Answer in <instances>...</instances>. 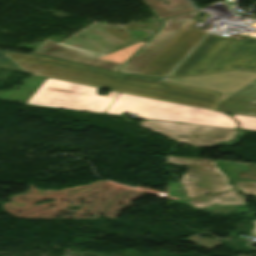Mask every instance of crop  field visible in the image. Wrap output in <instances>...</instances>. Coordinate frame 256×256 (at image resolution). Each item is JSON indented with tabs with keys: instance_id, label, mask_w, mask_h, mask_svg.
<instances>
[{
	"instance_id": "1",
	"label": "crop field",
	"mask_w": 256,
	"mask_h": 256,
	"mask_svg": "<svg viewBox=\"0 0 256 256\" xmlns=\"http://www.w3.org/2000/svg\"><path fill=\"white\" fill-rule=\"evenodd\" d=\"M3 53L14 62L45 67L38 75L204 109L217 107L219 93L213 91L191 89L156 78L117 75L53 58Z\"/></svg>"
},
{
	"instance_id": "2",
	"label": "crop field",
	"mask_w": 256,
	"mask_h": 256,
	"mask_svg": "<svg viewBox=\"0 0 256 256\" xmlns=\"http://www.w3.org/2000/svg\"><path fill=\"white\" fill-rule=\"evenodd\" d=\"M244 68L256 70V38L208 34L169 76Z\"/></svg>"
},
{
	"instance_id": "3",
	"label": "crop field",
	"mask_w": 256,
	"mask_h": 256,
	"mask_svg": "<svg viewBox=\"0 0 256 256\" xmlns=\"http://www.w3.org/2000/svg\"><path fill=\"white\" fill-rule=\"evenodd\" d=\"M124 112L142 119L237 128L231 117L220 112L120 93L106 113L122 115Z\"/></svg>"
},
{
	"instance_id": "4",
	"label": "crop field",
	"mask_w": 256,
	"mask_h": 256,
	"mask_svg": "<svg viewBox=\"0 0 256 256\" xmlns=\"http://www.w3.org/2000/svg\"><path fill=\"white\" fill-rule=\"evenodd\" d=\"M99 88L47 78L27 104L105 113L118 92L97 95Z\"/></svg>"
},
{
	"instance_id": "5",
	"label": "crop field",
	"mask_w": 256,
	"mask_h": 256,
	"mask_svg": "<svg viewBox=\"0 0 256 256\" xmlns=\"http://www.w3.org/2000/svg\"><path fill=\"white\" fill-rule=\"evenodd\" d=\"M165 164L189 165L187 173L179 182L185 184L188 192L185 196L189 198L234 188L227 184L228 178L216 168L212 160L168 157Z\"/></svg>"
},
{
	"instance_id": "6",
	"label": "crop field",
	"mask_w": 256,
	"mask_h": 256,
	"mask_svg": "<svg viewBox=\"0 0 256 256\" xmlns=\"http://www.w3.org/2000/svg\"><path fill=\"white\" fill-rule=\"evenodd\" d=\"M139 125L195 147H211L220 141H232L238 130L210 126L144 120Z\"/></svg>"
},
{
	"instance_id": "7",
	"label": "crop field",
	"mask_w": 256,
	"mask_h": 256,
	"mask_svg": "<svg viewBox=\"0 0 256 256\" xmlns=\"http://www.w3.org/2000/svg\"><path fill=\"white\" fill-rule=\"evenodd\" d=\"M195 22L190 20L138 75L166 76L207 33L206 31L192 29L191 27Z\"/></svg>"
},
{
	"instance_id": "8",
	"label": "crop field",
	"mask_w": 256,
	"mask_h": 256,
	"mask_svg": "<svg viewBox=\"0 0 256 256\" xmlns=\"http://www.w3.org/2000/svg\"><path fill=\"white\" fill-rule=\"evenodd\" d=\"M144 43L139 42L101 58L74 50L72 48L46 40L32 54L55 57L71 62L83 63L97 68L116 71Z\"/></svg>"
},
{
	"instance_id": "9",
	"label": "crop field",
	"mask_w": 256,
	"mask_h": 256,
	"mask_svg": "<svg viewBox=\"0 0 256 256\" xmlns=\"http://www.w3.org/2000/svg\"><path fill=\"white\" fill-rule=\"evenodd\" d=\"M198 11L161 20L165 27L161 29L137 54H135L118 71V73L137 75Z\"/></svg>"
},
{
	"instance_id": "10",
	"label": "crop field",
	"mask_w": 256,
	"mask_h": 256,
	"mask_svg": "<svg viewBox=\"0 0 256 256\" xmlns=\"http://www.w3.org/2000/svg\"><path fill=\"white\" fill-rule=\"evenodd\" d=\"M256 80V72L234 70L194 77L167 78L171 81L197 88H208L222 92L221 100Z\"/></svg>"
},
{
	"instance_id": "11",
	"label": "crop field",
	"mask_w": 256,
	"mask_h": 256,
	"mask_svg": "<svg viewBox=\"0 0 256 256\" xmlns=\"http://www.w3.org/2000/svg\"><path fill=\"white\" fill-rule=\"evenodd\" d=\"M219 110L256 116V81L220 102Z\"/></svg>"
},
{
	"instance_id": "12",
	"label": "crop field",
	"mask_w": 256,
	"mask_h": 256,
	"mask_svg": "<svg viewBox=\"0 0 256 256\" xmlns=\"http://www.w3.org/2000/svg\"><path fill=\"white\" fill-rule=\"evenodd\" d=\"M161 19L195 10L186 0H144Z\"/></svg>"
},
{
	"instance_id": "13",
	"label": "crop field",
	"mask_w": 256,
	"mask_h": 256,
	"mask_svg": "<svg viewBox=\"0 0 256 256\" xmlns=\"http://www.w3.org/2000/svg\"><path fill=\"white\" fill-rule=\"evenodd\" d=\"M247 199L248 198L241 195L236 190H231V191H226L219 194L197 198L189 203L191 206L195 208H203L210 205L211 202H215V204L217 205L247 204L246 203Z\"/></svg>"
},
{
	"instance_id": "14",
	"label": "crop field",
	"mask_w": 256,
	"mask_h": 256,
	"mask_svg": "<svg viewBox=\"0 0 256 256\" xmlns=\"http://www.w3.org/2000/svg\"><path fill=\"white\" fill-rule=\"evenodd\" d=\"M240 122V128L256 130V117L232 114Z\"/></svg>"
},
{
	"instance_id": "15",
	"label": "crop field",
	"mask_w": 256,
	"mask_h": 256,
	"mask_svg": "<svg viewBox=\"0 0 256 256\" xmlns=\"http://www.w3.org/2000/svg\"><path fill=\"white\" fill-rule=\"evenodd\" d=\"M189 239L207 249H211V248L221 244V242H219V241H216L213 239L201 238L199 236L189 237Z\"/></svg>"
},
{
	"instance_id": "16",
	"label": "crop field",
	"mask_w": 256,
	"mask_h": 256,
	"mask_svg": "<svg viewBox=\"0 0 256 256\" xmlns=\"http://www.w3.org/2000/svg\"><path fill=\"white\" fill-rule=\"evenodd\" d=\"M0 67L6 68V69H11V70H16V71H21V72H26L20 66H18L16 63L11 61L7 56H5L1 52H0Z\"/></svg>"
},
{
	"instance_id": "17",
	"label": "crop field",
	"mask_w": 256,
	"mask_h": 256,
	"mask_svg": "<svg viewBox=\"0 0 256 256\" xmlns=\"http://www.w3.org/2000/svg\"><path fill=\"white\" fill-rule=\"evenodd\" d=\"M18 65H20L28 73H32V74H37L40 70L43 69L42 67H36V66H30V65H24V64H18Z\"/></svg>"
},
{
	"instance_id": "18",
	"label": "crop field",
	"mask_w": 256,
	"mask_h": 256,
	"mask_svg": "<svg viewBox=\"0 0 256 256\" xmlns=\"http://www.w3.org/2000/svg\"><path fill=\"white\" fill-rule=\"evenodd\" d=\"M238 188H255V182H236L235 184Z\"/></svg>"
},
{
	"instance_id": "19",
	"label": "crop field",
	"mask_w": 256,
	"mask_h": 256,
	"mask_svg": "<svg viewBox=\"0 0 256 256\" xmlns=\"http://www.w3.org/2000/svg\"><path fill=\"white\" fill-rule=\"evenodd\" d=\"M245 133V131H240L235 139L234 142H229V143H219L217 144L216 146L218 145H226V144H234V143H238L240 141V139L242 138L243 134Z\"/></svg>"
},
{
	"instance_id": "20",
	"label": "crop field",
	"mask_w": 256,
	"mask_h": 256,
	"mask_svg": "<svg viewBox=\"0 0 256 256\" xmlns=\"http://www.w3.org/2000/svg\"><path fill=\"white\" fill-rule=\"evenodd\" d=\"M240 191L243 192L245 195L256 196V189H252V190H240Z\"/></svg>"
},
{
	"instance_id": "21",
	"label": "crop field",
	"mask_w": 256,
	"mask_h": 256,
	"mask_svg": "<svg viewBox=\"0 0 256 256\" xmlns=\"http://www.w3.org/2000/svg\"><path fill=\"white\" fill-rule=\"evenodd\" d=\"M253 223H254L255 227H254L253 230L251 231V234H252L253 236H256V220H253Z\"/></svg>"
},
{
	"instance_id": "22",
	"label": "crop field",
	"mask_w": 256,
	"mask_h": 256,
	"mask_svg": "<svg viewBox=\"0 0 256 256\" xmlns=\"http://www.w3.org/2000/svg\"><path fill=\"white\" fill-rule=\"evenodd\" d=\"M252 244H256V242H255V243H246V245H247L248 247H250V248H252V249H255V250H256V248H255V247L251 246Z\"/></svg>"
}]
</instances>
